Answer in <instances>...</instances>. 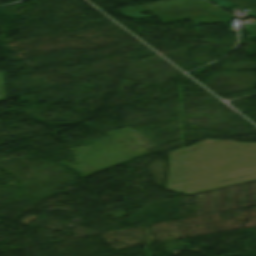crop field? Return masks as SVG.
Listing matches in <instances>:
<instances>
[{
    "label": "crop field",
    "instance_id": "8a807250",
    "mask_svg": "<svg viewBox=\"0 0 256 256\" xmlns=\"http://www.w3.org/2000/svg\"><path fill=\"white\" fill-rule=\"evenodd\" d=\"M256 180V144L208 139L169 153L166 189L192 195Z\"/></svg>",
    "mask_w": 256,
    "mask_h": 256
},
{
    "label": "crop field",
    "instance_id": "ac0d7876",
    "mask_svg": "<svg viewBox=\"0 0 256 256\" xmlns=\"http://www.w3.org/2000/svg\"><path fill=\"white\" fill-rule=\"evenodd\" d=\"M120 10L124 16L134 19L156 16L164 24L189 20L195 26L199 23L228 22L235 18L203 0H175ZM146 11L154 15H141Z\"/></svg>",
    "mask_w": 256,
    "mask_h": 256
},
{
    "label": "crop field",
    "instance_id": "34b2d1b8",
    "mask_svg": "<svg viewBox=\"0 0 256 256\" xmlns=\"http://www.w3.org/2000/svg\"><path fill=\"white\" fill-rule=\"evenodd\" d=\"M250 32L251 37H256V25H247V29Z\"/></svg>",
    "mask_w": 256,
    "mask_h": 256
},
{
    "label": "crop field",
    "instance_id": "412701ff",
    "mask_svg": "<svg viewBox=\"0 0 256 256\" xmlns=\"http://www.w3.org/2000/svg\"><path fill=\"white\" fill-rule=\"evenodd\" d=\"M249 16H252V17L256 18V11L252 12L251 14H249V15L243 17V18L245 19V18H247V17H249ZM255 23H256V22H255Z\"/></svg>",
    "mask_w": 256,
    "mask_h": 256
}]
</instances>
